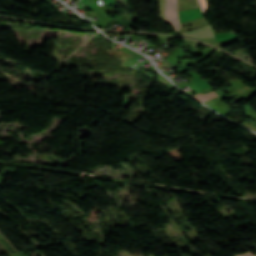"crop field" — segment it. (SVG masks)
<instances>
[{"mask_svg":"<svg viewBox=\"0 0 256 256\" xmlns=\"http://www.w3.org/2000/svg\"><path fill=\"white\" fill-rule=\"evenodd\" d=\"M256 256V255H255Z\"/></svg>","mask_w":256,"mask_h":256,"instance_id":"crop-field-6","label":"crop field"},{"mask_svg":"<svg viewBox=\"0 0 256 256\" xmlns=\"http://www.w3.org/2000/svg\"><path fill=\"white\" fill-rule=\"evenodd\" d=\"M237 256H254L250 251L245 252L243 254L237 255Z\"/></svg>","mask_w":256,"mask_h":256,"instance_id":"crop-field-5","label":"crop field"},{"mask_svg":"<svg viewBox=\"0 0 256 256\" xmlns=\"http://www.w3.org/2000/svg\"><path fill=\"white\" fill-rule=\"evenodd\" d=\"M217 96L218 95L215 92L211 91V92H209V93H207L205 95L198 94V95H196L194 97L197 98L198 100L204 102V101H206L208 99H211V98H214V97H217Z\"/></svg>","mask_w":256,"mask_h":256,"instance_id":"crop-field-3","label":"crop field"},{"mask_svg":"<svg viewBox=\"0 0 256 256\" xmlns=\"http://www.w3.org/2000/svg\"><path fill=\"white\" fill-rule=\"evenodd\" d=\"M182 35L183 36H190V37L197 38V39L214 37L213 36V29L211 28V26L196 29V30H192V31H188V32H186Z\"/></svg>","mask_w":256,"mask_h":256,"instance_id":"crop-field-2","label":"crop field"},{"mask_svg":"<svg viewBox=\"0 0 256 256\" xmlns=\"http://www.w3.org/2000/svg\"><path fill=\"white\" fill-rule=\"evenodd\" d=\"M198 2H199V5L201 7V10H202L204 16H206L208 14V10H209L206 0H198Z\"/></svg>","mask_w":256,"mask_h":256,"instance_id":"crop-field-4","label":"crop field"},{"mask_svg":"<svg viewBox=\"0 0 256 256\" xmlns=\"http://www.w3.org/2000/svg\"><path fill=\"white\" fill-rule=\"evenodd\" d=\"M165 16L167 23L172 26L174 33L177 29L181 28L177 15V0H166Z\"/></svg>","mask_w":256,"mask_h":256,"instance_id":"crop-field-1","label":"crop field"}]
</instances>
